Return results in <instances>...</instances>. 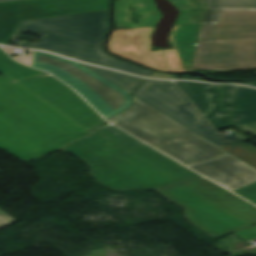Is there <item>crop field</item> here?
<instances>
[{
	"label": "crop field",
	"mask_w": 256,
	"mask_h": 256,
	"mask_svg": "<svg viewBox=\"0 0 256 256\" xmlns=\"http://www.w3.org/2000/svg\"><path fill=\"white\" fill-rule=\"evenodd\" d=\"M109 9V0H20L0 3V44L9 45L22 20Z\"/></svg>",
	"instance_id": "10"
},
{
	"label": "crop field",
	"mask_w": 256,
	"mask_h": 256,
	"mask_svg": "<svg viewBox=\"0 0 256 256\" xmlns=\"http://www.w3.org/2000/svg\"><path fill=\"white\" fill-rule=\"evenodd\" d=\"M16 222L10 215L0 209V228Z\"/></svg>",
	"instance_id": "21"
},
{
	"label": "crop field",
	"mask_w": 256,
	"mask_h": 256,
	"mask_svg": "<svg viewBox=\"0 0 256 256\" xmlns=\"http://www.w3.org/2000/svg\"><path fill=\"white\" fill-rule=\"evenodd\" d=\"M156 190L183 205L188 219L214 238L256 225L255 206L203 177Z\"/></svg>",
	"instance_id": "6"
},
{
	"label": "crop field",
	"mask_w": 256,
	"mask_h": 256,
	"mask_svg": "<svg viewBox=\"0 0 256 256\" xmlns=\"http://www.w3.org/2000/svg\"><path fill=\"white\" fill-rule=\"evenodd\" d=\"M82 65L95 71L103 78L109 80L110 82L114 83L115 85L129 92L130 94L144 80V78L127 75V74L116 72V71L106 70V69L88 66L84 64Z\"/></svg>",
	"instance_id": "16"
},
{
	"label": "crop field",
	"mask_w": 256,
	"mask_h": 256,
	"mask_svg": "<svg viewBox=\"0 0 256 256\" xmlns=\"http://www.w3.org/2000/svg\"><path fill=\"white\" fill-rule=\"evenodd\" d=\"M224 90L228 95L220 100L225 102L223 110L236 115L231 122L236 126L256 122V89L226 85Z\"/></svg>",
	"instance_id": "12"
},
{
	"label": "crop field",
	"mask_w": 256,
	"mask_h": 256,
	"mask_svg": "<svg viewBox=\"0 0 256 256\" xmlns=\"http://www.w3.org/2000/svg\"><path fill=\"white\" fill-rule=\"evenodd\" d=\"M150 77L153 78H165V79H171V77L169 76V74H165V73H158L155 72L154 74H152Z\"/></svg>",
	"instance_id": "24"
},
{
	"label": "crop field",
	"mask_w": 256,
	"mask_h": 256,
	"mask_svg": "<svg viewBox=\"0 0 256 256\" xmlns=\"http://www.w3.org/2000/svg\"><path fill=\"white\" fill-rule=\"evenodd\" d=\"M132 95L218 147L248 140L242 133L224 137L217 134L173 81L146 79Z\"/></svg>",
	"instance_id": "9"
},
{
	"label": "crop field",
	"mask_w": 256,
	"mask_h": 256,
	"mask_svg": "<svg viewBox=\"0 0 256 256\" xmlns=\"http://www.w3.org/2000/svg\"><path fill=\"white\" fill-rule=\"evenodd\" d=\"M134 103L130 106L129 109L125 110L121 114L114 116L108 119L111 123L120 126L123 124H127L157 113H160L156 109L152 108L151 106L145 104L144 102L140 101L139 99L133 96Z\"/></svg>",
	"instance_id": "15"
},
{
	"label": "crop field",
	"mask_w": 256,
	"mask_h": 256,
	"mask_svg": "<svg viewBox=\"0 0 256 256\" xmlns=\"http://www.w3.org/2000/svg\"><path fill=\"white\" fill-rule=\"evenodd\" d=\"M237 128L241 129L244 132L256 135V123L238 126Z\"/></svg>",
	"instance_id": "23"
},
{
	"label": "crop field",
	"mask_w": 256,
	"mask_h": 256,
	"mask_svg": "<svg viewBox=\"0 0 256 256\" xmlns=\"http://www.w3.org/2000/svg\"><path fill=\"white\" fill-rule=\"evenodd\" d=\"M222 150L256 169V148L241 143L221 147Z\"/></svg>",
	"instance_id": "17"
},
{
	"label": "crop field",
	"mask_w": 256,
	"mask_h": 256,
	"mask_svg": "<svg viewBox=\"0 0 256 256\" xmlns=\"http://www.w3.org/2000/svg\"><path fill=\"white\" fill-rule=\"evenodd\" d=\"M179 10L205 9L204 1L175 3Z\"/></svg>",
	"instance_id": "20"
},
{
	"label": "crop field",
	"mask_w": 256,
	"mask_h": 256,
	"mask_svg": "<svg viewBox=\"0 0 256 256\" xmlns=\"http://www.w3.org/2000/svg\"><path fill=\"white\" fill-rule=\"evenodd\" d=\"M120 128L124 129L125 131L131 133L132 135L140 138L141 140L147 142L154 147L167 144L166 142L162 141L161 139L155 137L154 135L146 132L145 130L139 128L132 123L120 126Z\"/></svg>",
	"instance_id": "18"
},
{
	"label": "crop field",
	"mask_w": 256,
	"mask_h": 256,
	"mask_svg": "<svg viewBox=\"0 0 256 256\" xmlns=\"http://www.w3.org/2000/svg\"><path fill=\"white\" fill-rule=\"evenodd\" d=\"M108 10L83 14L27 20L21 22L18 32L42 34L40 43L24 42L19 47L48 50L75 60L105 66L147 77L151 71L112 58L101 48L102 38L108 31ZM13 37V36H12Z\"/></svg>",
	"instance_id": "4"
},
{
	"label": "crop field",
	"mask_w": 256,
	"mask_h": 256,
	"mask_svg": "<svg viewBox=\"0 0 256 256\" xmlns=\"http://www.w3.org/2000/svg\"><path fill=\"white\" fill-rule=\"evenodd\" d=\"M91 132L62 149L84 159L93 177L115 191L156 189L201 177L105 120Z\"/></svg>",
	"instance_id": "2"
},
{
	"label": "crop field",
	"mask_w": 256,
	"mask_h": 256,
	"mask_svg": "<svg viewBox=\"0 0 256 256\" xmlns=\"http://www.w3.org/2000/svg\"><path fill=\"white\" fill-rule=\"evenodd\" d=\"M3 1H12V0H0V2H3Z\"/></svg>",
	"instance_id": "26"
},
{
	"label": "crop field",
	"mask_w": 256,
	"mask_h": 256,
	"mask_svg": "<svg viewBox=\"0 0 256 256\" xmlns=\"http://www.w3.org/2000/svg\"><path fill=\"white\" fill-rule=\"evenodd\" d=\"M203 24H216L218 10H256V0H206Z\"/></svg>",
	"instance_id": "14"
},
{
	"label": "crop field",
	"mask_w": 256,
	"mask_h": 256,
	"mask_svg": "<svg viewBox=\"0 0 256 256\" xmlns=\"http://www.w3.org/2000/svg\"><path fill=\"white\" fill-rule=\"evenodd\" d=\"M130 13H138V15L142 14L144 17L141 18V22L139 24H135L129 20L132 15L121 16V14ZM159 16L160 13L153 5L114 9L116 28L155 26Z\"/></svg>",
	"instance_id": "13"
},
{
	"label": "crop field",
	"mask_w": 256,
	"mask_h": 256,
	"mask_svg": "<svg viewBox=\"0 0 256 256\" xmlns=\"http://www.w3.org/2000/svg\"><path fill=\"white\" fill-rule=\"evenodd\" d=\"M0 71L87 131L103 120L82 98L46 72L24 66L0 48Z\"/></svg>",
	"instance_id": "8"
},
{
	"label": "crop field",
	"mask_w": 256,
	"mask_h": 256,
	"mask_svg": "<svg viewBox=\"0 0 256 256\" xmlns=\"http://www.w3.org/2000/svg\"><path fill=\"white\" fill-rule=\"evenodd\" d=\"M180 88L191 98L194 104L204 114V116L216 127L217 130L231 128L227 117L231 115L225 111L219 110L220 104L216 98L223 95L221 90H216V86L187 81H176ZM189 98V99H190Z\"/></svg>",
	"instance_id": "11"
},
{
	"label": "crop field",
	"mask_w": 256,
	"mask_h": 256,
	"mask_svg": "<svg viewBox=\"0 0 256 256\" xmlns=\"http://www.w3.org/2000/svg\"><path fill=\"white\" fill-rule=\"evenodd\" d=\"M205 10L182 11L178 17L177 25L202 24Z\"/></svg>",
	"instance_id": "19"
},
{
	"label": "crop field",
	"mask_w": 256,
	"mask_h": 256,
	"mask_svg": "<svg viewBox=\"0 0 256 256\" xmlns=\"http://www.w3.org/2000/svg\"><path fill=\"white\" fill-rule=\"evenodd\" d=\"M153 27L115 30L109 50L156 68L149 50ZM175 63L185 70H256V11H219L217 25L178 26Z\"/></svg>",
	"instance_id": "1"
},
{
	"label": "crop field",
	"mask_w": 256,
	"mask_h": 256,
	"mask_svg": "<svg viewBox=\"0 0 256 256\" xmlns=\"http://www.w3.org/2000/svg\"><path fill=\"white\" fill-rule=\"evenodd\" d=\"M29 56L14 57L31 67L47 70L67 82L105 118L126 109L132 99L129 93L100 77L78 62L59 56L28 50Z\"/></svg>",
	"instance_id": "7"
},
{
	"label": "crop field",
	"mask_w": 256,
	"mask_h": 256,
	"mask_svg": "<svg viewBox=\"0 0 256 256\" xmlns=\"http://www.w3.org/2000/svg\"><path fill=\"white\" fill-rule=\"evenodd\" d=\"M247 85L256 87V82H253V83H247Z\"/></svg>",
	"instance_id": "25"
},
{
	"label": "crop field",
	"mask_w": 256,
	"mask_h": 256,
	"mask_svg": "<svg viewBox=\"0 0 256 256\" xmlns=\"http://www.w3.org/2000/svg\"><path fill=\"white\" fill-rule=\"evenodd\" d=\"M236 233L249 239V240L255 239L256 238V226L236 232Z\"/></svg>",
	"instance_id": "22"
},
{
	"label": "crop field",
	"mask_w": 256,
	"mask_h": 256,
	"mask_svg": "<svg viewBox=\"0 0 256 256\" xmlns=\"http://www.w3.org/2000/svg\"><path fill=\"white\" fill-rule=\"evenodd\" d=\"M133 123L169 143L157 149L231 191L256 181L255 169L162 113Z\"/></svg>",
	"instance_id": "5"
},
{
	"label": "crop field",
	"mask_w": 256,
	"mask_h": 256,
	"mask_svg": "<svg viewBox=\"0 0 256 256\" xmlns=\"http://www.w3.org/2000/svg\"><path fill=\"white\" fill-rule=\"evenodd\" d=\"M87 134L89 132L9 77H0L2 149L26 161Z\"/></svg>",
	"instance_id": "3"
}]
</instances>
